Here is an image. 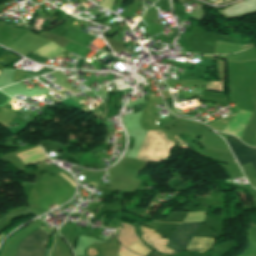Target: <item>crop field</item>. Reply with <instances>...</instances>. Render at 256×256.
Returning <instances> with one entry per match:
<instances>
[{"label":"crop field","instance_id":"3","mask_svg":"<svg viewBox=\"0 0 256 256\" xmlns=\"http://www.w3.org/2000/svg\"><path fill=\"white\" fill-rule=\"evenodd\" d=\"M227 143L230 145L239 165L252 161L256 171V148H250L233 136H227Z\"/></svg>","mask_w":256,"mask_h":256},{"label":"crop field","instance_id":"5","mask_svg":"<svg viewBox=\"0 0 256 256\" xmlns=\"http://www.w3.org/2000/svg\"><path fill=\"white\" fill-rule=\"evenodd\" d=\"M212 244L213 238L192 237L190 243L186 247V250L205 252L212 246Z\"/></svg>","mask_w":256,"mask_h":256},{"label":"crop field","instance_id":"1","mask_svg":"<svg viewBox=\"0 0 256 256\" xmlns=\"http://www.w3.org/2000/svg\"><path fill=\"white\" fill-rule=\"evenodd\" d=\"M51 233L52 231L46 228L35 230L18 245L16 256H44Z\"/></svg>","mask_w":256,"mask_h":256},{"label":"crop field","instance_id":"2","mask_svg":"<svg viewBox=\"0 0 256 256\" xmlns=\"http://www.w3.org/2000/svg\"><path fill=\"white\" fill-rule=\"evenodd\" d=\"M139 232L147 244L161 253H167L171 255L182 251L181 249L174 246L169 240L158 236L157 233L149 228L140 225Z\"/></svg>","mask_w":256,"mask_h":256},{"label":"crop field","instance_id":"8","mask_svg":"<svg viewBox=\"0 0 256 256\" xmlns=\"http://www.w3.org/2000/svg\"><path fill=\"white\" fill-rule=\"evenodd\" d=\"M150 97H154L153 94H150Z\"/></svg>","mask_w":256,"mask_h":256},{"label":"crop field","instance_id":"6","mask_svg":"<svg viewBox=\"0 0 256 256\" xmlns=\"http://www.w3.org/2000/svg\"><path fill=\"white\" fill-rule=\"evenodd\" d=\"M59 175H61L65 180H67L69 183H71L75 187V182H73L71 179H69L68 177H66L65 175H63L61 173Z\"/></svg>","mask_w":256,"mask_h":256},{"label":"crop field","instance_id":"7","mask_svg":"<svg viewBox=\"0 0 256 256\" xmlns=\"http://www.w3.org/2000/svg\"><path fill=\"white\" fill-rule=\"evenodd\" d=\"M151 256H159V255H157V254L154 253V254H152Z\"/></svg>","mask_w":256,"mask_h":256},{"label":"crop field","instance_id":"4","mask_svg":"<svg viewBox=\"0 0 256 256\" xmlns=\"http://www.w3.org/2000/svg\"><path fill=\"white\" fill-rule=\"evenodd\" d=\"M200 224L201 223L179 224L169 240L184 249L187 242L197 230V228L200 226Z\"/></svg>","mask_w":256,"mask_h":256}]
</instances>
